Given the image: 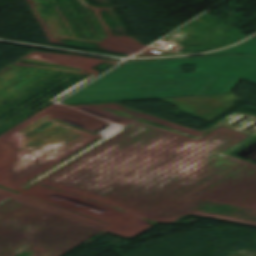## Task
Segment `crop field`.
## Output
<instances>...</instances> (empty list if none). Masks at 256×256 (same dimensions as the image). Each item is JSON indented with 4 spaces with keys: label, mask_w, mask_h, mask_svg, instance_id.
Segmentation results:
<instances>
[{
    "label": "crop field",
    "mask_w": 256,
    "mask_h": 256,
    "mask_svg": "<svg viewBox=\"0 0 256 256\" xmlns=\"http://www.w3.org/2000/svg\"><path fill=\"white\" fill-rule=\"evenodd\" d=\"M197 64L180 73V65ZM242 78L256 82V57L232 55L127 62L70 95L69 104L228 93Z\"/></svg>",
    "instance_id": "1"
},
{
    "label": "crop field",
    "mask_w": 256,
    "mask_h": 256,
    "mask_svg": "<svg viewBox=\"0 0 256 256\" xmlns=\"http://www.w3.org/2000/svg\"><path fill=\"white\" fill-rule=\"evenodd\" d=\"M230 95H231L232 97H234L236 100L240 101V99H239L236 95H234L233 93H230ZM178 108H179V107H178ZM180 109H181V108H180ZM182 110H183L184 112L188 113V114L193 115V116H196V117H199V118L208 120V121L212 120V119H209V118H207V117H204V116L195 114V113H193V112H190V111H187V110H184V109H182Z\"/></svg>",
    "instance_id": "4"
},
{
    "label": "crop field",
    "mask_w": 256,
    "mask_h": 256,
    "mask_svg": "<svg viewBox=\"0 0 256 256\" xmlns=\"http://www.w3.org/2000/svg\"><path fill=\"white\" fill-rule=\"evenodd\" d=\"M220 54H253L256 55V36L240 45L232 48L224 49L216 53L208 55H220Z\"/></svg>",
    "instance_id": "2"
},
{
    "label": "crop field",
    "mask_w": 256,
    "mask_h": 256,
    "mask_svg": "<svg viewBox=\"0 0 256 256\" xmlns=\"http://www.w3.org/2000/svg\"><path fill=\"white\" fill-rule=\"evenodd\" d=\"M179 53L175 52V51H170V52H160L157 51L154 48H149L146 51L142 52V54L139 56H135V57H148V56H165V55H177Z\"/></svg>",
    "instance_id": "3"
}]
</instances>
